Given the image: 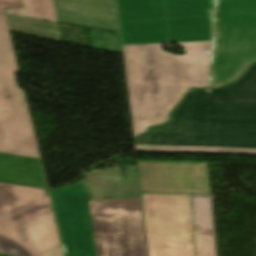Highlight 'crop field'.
Returning <instances> with one entry per match:
<instances>
[{
	"label": "crop field",
	"instance_id": "1",
	"mask_svg": "<svg viewBox=\"0 0 256 256\" xmlns=\"http://www.w3.org/2000/svg\"><path fill=\"white\" fill-rule=\"evenodd\" d=\"M135 137L169 120L190 87L207 88L215 0H117ZM174 42L185 55L162 49Z\"/></svg>",
	"mask_w": 256,
	"mask_h": 256
},
{
	"label": "crop field",
	"instance_id": "2",
	"mask_svg": "<svg viewBox=\"0 0 256 256\" xmlns=\"http://www.w3.org/2000/svg\"><path fill=\"white\" fill-rule=\"evenodd\" d=\"M97 170L87 180L51 190L66 256H147L142 200L135 168Z\"/></svg>",
	"mask_w": 256,
	"mask_h": 256
},
{
	"label": "crop field",
	"instance_id": "3",
	"mask_svg": "<svg viewBox=\"0 0 256 256\" xmlns=\"http://www.w3.org/2000/svg\"><path fill=\"white\" fill-rule=\"evenodd\" d=\"M135 142L136 151L256 154V104L206 103V90L192 89L172 121Z\"/></svg>",
	"mask_w": 256,
	"mask_h": 256
},
{
	"label": "crop field",
	"instance_id": "4",
	"mask_svg": "<svg viewBox=\"0 0 256 256\" xmlns=\"http://www.w3.org/2000/svg\"><path fill=\"white\" fill-rule=\"evenodd\" d=\"M46 191L0 183V253L37 256L60 246Z\"/></svg>",
	"mask_w": 256,
	"mask_h": 256
},
{
	"label": "crop field",
	"instance_id": "5",
	"mask_svg": "<svg viewBox=\"0 0 256 256\" xmlns=\"http://www.w3.org/2000/svg\"><path fill=\"white\" fill-rule=\"evenodd\" d=\"M256 61V0H217L209 88L228 84Z\"/></svg>",
	"mask_w": 256,
	"mask_h": 256
},
{
	"label": "crop field",
	"instance_id": "6",
	"mask_svg": "<svg viewBox=\"0 0 256 256\" xmlns=\"http://www.w3.org/2000/svg\"><path fill=\"white\" fill-rule=\"evenodd\" d=\"M18 71L6 18L0 15V151L41 158Z\"/></svg>",
	"mask_w": 256,
	"mask_h": 256
},
{
	"label": "crop field",
	"instance_id": "7",
	"mask_svg": "<svg viewBox=\"0 0 256 256\" xmlns=\"http://www.w3.org/2000/svg\"><path fill=\"white\" fill-rule=\"evenodd\" d=\"M141 195L148 256H193L189 195Z\"/></svg>",
	"mask_w": 256,
	"mask_h": 256
},
{
	"label": "crop field",
	"instance_id": "8",
	"mask_svg": "<svg viewBox=\"0 0 256 256\" xmlns=\"http://www.w3.org/2000/svg\"><path fill=\"white\" fill-rule=\"evenodd\" d=\"M137 163L141 192L211 194L207 163Z\"/></svg>",
	"mask_w": 256,
	"mask_h": 256
},
{
	"label": "crop field",
	"instance_id": "9",
	"mask_svg": "<svg viewBox=\"0 0 256 256\" xmlns=\"http://www.w3.org/2000/svg\"><path fill=\"white\" fill-rule=\"evenodd\" d=\"M59 21L116 31H93V48L123 54L115 0H56Z\"/></svg>",
	"mask_w": 256,
	"mask_h": 256
},
{
	"label": "crop field",
	"instance_id": "10",
	"mask_svg": "<svg viewBox=\"0 0 256 256\" xmlns=\"http://www.w3.org/2000/svg\"><path fill=\"white\" fill-rule=\"evenodd\" d=\"M196 256H217L211 195H191Z\"/></svg>",
	"mask_w": 256,
	"mask_h": 256
},
{
	"label": "crop field",
	"instance_id": "11",
	"mask_svg": "<svg viewBox=\"0 0 256 256\" xmlns=\"http://www.w3.org/2000/svg\"><path fill=\"white\" fill-rule=\"evenodd\" d=\"M0 181L46 187L39 159L1 152Z\"/></svg>",
	"mask_w": 256,
	"mask_h": 256
},
{
	"label": "crop field",
	"instance_id": "12",
	"mask_svg": "<svg viewBox=\"0 0 256 256\" xmlns=\"http://www.w3.org/2000/svg\"><path fill=\"white\" fill-rule=\"evenodd\" d=\"M207 102L256 103V72L244 74L234 83L207 92Z\"/></svg>",
	"mask_w": 256,
	"mask_h": 256
},
{
	"label": "crop field",
	"instance_id": "13",
	"mask_svg": "<svg viewBox=\"0 0 256 256\" xmlns=\"http://www.w3.org/2000/svg\"><path fill=\"white\" fill-rule=\"evenodd\" d=\"M23 8L6 9V12L57 22L54 0H22Z\"/></svg>",
	"mask_w": 256,
	"mask_h": 256
},
{
	"label": "crop field",
	"instance_id": "14",
	"mask_svg": "<svg viewBox=\"0 0 256 256\" xmlns=\"http://www.w3.org/2000/svg\"><path fill=\"white\" fill-rule=\"evenodd\" d=\"M22 7L21 0H0V14H5L4 8Z\"/></svg>",
	"mask_w": 256,
	"mask_h": 256
},
{
	"label": "crop field",
	"instance_id": "15",
	"mask_svg": "<svg viewBox=\"0 0 256 256\" xmlns=\"http://www.w3.org/2000/svg\"><path fill=\"white\" fill-rule=\"evenodd\" d=\"M40 256H63L62 247L60 246V247H58V248H56L54 250H51V251H49L47 253H44V254H42Z\"/></svg>",
	"mask_w": 256,
	"mask_h": 256
},
{
	"label": "crop field",
	"instance_id": "16",
	"mask_svg": "<svg viewBox=\"0 0 256 256\" xmlns=\"http://www.w3.org/2000/svg\"><path fill=\"white\" fill-rule=\"evenodd\" d=\"M251 71H256V64H254L247 72H251Z\"/></svg>",
	"mask_w": 256,
	"mask_h": 256
}]
</instances>
